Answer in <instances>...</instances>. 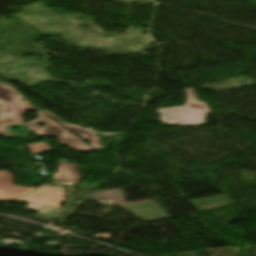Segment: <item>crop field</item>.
I'll return each instance as SVG.
<instances>
[{
  "label": "crop field",
  "instance_id": "obj_1",
  "mask_svg": "<svg viewBox=\"0 0 256 256\" xmlns=\"http://www.w3.org/2000/svg\"><path fill=\"white\" fill-rule=\"evenodd\" d=\"M187 102L183 107L160 109L161 123L169 122L166 126H202L211 111L207 104L196 99L194 89H187ZM169 116H172L169 120Z\"/></svg>",
  "mask_w": 256,
  "mask_h": 256
},
{
  "label": "crop field",
  "instance_id": "obj_2",
  "mask_svg": "<svg viewBox=\"0 0 256 256\" xmlns=\"http://www.w3.org/2000/svg\"><path fill=\"white\" fill-rule=\"evenodd\" d=\"M33 109L37 110L16 90L0 83V135L15 138L8 134L6 128L10 124H23L25 111Z\"/></svg>",
  "mask_w": 256,
  "mask_h": 256
},
{
  "label": "crop field",
  "instance_id": "obj_3",
  "mask_svg": "<svg viewBox=\"0 0 256 256\" xmlns=\"http://www.w3.org/2000/svg\"><path fill=\"white\" fill-rule=\"evenodd\" d=\"M37 113L39 114V119L26 124L28 128L35 133L41 135L42 137L51 136L74 152L88 153L95 151L93 148L82 142L79 138L66 131L43 112L37 110ZM40 123L45 124V127L39 128L38 125Z\"/></svg>",
  "mask_w": 256,
  "mask_h": 256
},
{
  "label": "crop field",
  "instance_id": "obj_4",
  "mask_svg": "<svg viewBox=\"0 0 256 256\" xmlns=\"http://www.w3.org/2000/svg\"><path fill=\"white\" fill-rule=\"evenodd\" d=\"M63 192L64 189L61 188L43 186L27 196L13 200L29 203L27 209L34 211H38L43 205L62 208L65 203V193Z\"/></svg>",
  "mask_w": 256,
  "mask_h": 256
},
{
  "label": "crop field",
  "instance_id": "obj_5",
  "mask_svg": "<svg viewBox=\"0 0 256 256\" xmlns=\"http://www.w3.org/2000/svg\"><path fill=\"white\" fill-rule=\"evenodd\" d=\"M13 176L5 171H0V200L22 196L33 190V187L12 185Z\"/></svg>",
  "mask_w": 256,
  "mask_h": 256
},
{
  "label": "crop field",
  "instance_id": "obj_6",
  "mask_svg": "<svg viewBox=\"0 0 256 256\" xmlns=\"http://www.w3.org/2000/svg\"><path fill=\"white\" fill-rule=\"evenodd\" d=\"M44 113H46L48 116H50L52 119H54L56 122H58L60 125H62L67 130L71 131L72 133H74V134L78 135L79 137L85 139L86 141L90 142L91 146L93 148H95L96 150L105 148L104 146L99 145L100 144V142H98L99 138L94 136V134H96L97 132H95L91 128L84 129L80 126L69 125V124H66L65 122L61 121L60 119L54 117L52 114H50L47 111H44ZM103 135L105 137H107L109 135H119V134H103Z\"/></svg>",
  "mask_w": 256,
  "mask_h": 256
},
{
  "label": "crop field",
  "instance_id": "obj_7",
  "mask_svg": "<svg viewBox=\"0 0 256 256\" xmlns=\"http://www.w3.org/2000/svg\"><path fill=\"white\" fill-rule=\"evenodd\" d=\"M54 178L63 179L70 183H78L81 181L80 175H79V166L71 163L59 161Z\"/></svg>",
  "mask_w": 256,
  "mask_h": 256
},
{
  "label": "crop field",
  "instance_id": "obj_8",
  "mask_svg": "<svg viewBox=\"0 0 256 256\" xmlns=\"http://www.w3.org/2000/svg\"><path fill=\"white\" fill-rule=\"evenodd\" d=\"M27 147L33 155L53 151L45 142L28 145Z\"/></svg>",
  "mask_w": 256,
  "mask_h": 256
}]
</instances>
